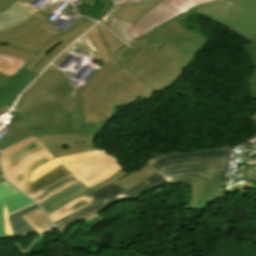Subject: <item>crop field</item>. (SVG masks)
Returning <instances> with one entry per match:
<instances>
[{"instance_id": "obj_14", "label": "crop field", "mask_w": 256, "mask_h": 256, "mask_svg": "<svg viewBox=\"0 0 256 256\" xmlns=\"http://www.w3.org/2000/svg\"><path fill=\"white\" fill-rule=\"evenodd\" d=\"M171 183L192 185V201L189 207L191 210L203 211L221 199L216 195L220 185L210 180L189 176L179 178Z\"/></svg>"}, {"instance_id": "obj_36", "label": "crop field", "mask_w": 256, "mask_h": 256, "mask_svg": "<svg viewBox=\"0 0 256 256\" xmlns=\"http://www.w3.org/2000/svg\"><path fill=\"white\" fill-rule=\"evenodd\" d=\"M98 5L113 6V2H112V0H99Z\"/></svg>"}, {"instance_id": "obj_9", "label": "crop field", "mask_w": 256, "mask_h": 256, "mask_svg": "<svg viewBox=\"0 0 256 256\" xmlns=\"http://www.w3.org/2000/svg\"><path fill=\"white\" fill-rule=\"evenodd\" d=\"M181 71L176 50L165 43L135 74L158 92L176 79Z\"/></svg>"}, {"instance_id": "obj_3", "label": "crop field", "mask_w": 256, "mask_h": 256, "mask_svg": "<svg viewBox=\"0 0 256 256\" xmlns=\"http://www.w3.org/2000/svg\"><path fill=\"white\" fill-rule=\"evenodd\" d=\"M80 89L60 82L48 90L57 100L35 106L23 113H9L10 122L2 130L0 150L28 136L45 134H84Z\"/></svg>"}, {"instance_id": "obj_42", "label": "crop field", "mask_w": 256, "mask_h": 256, "mask_svg": "<svg viewBox=\"0 0 256 256\" xmlns=\"http://www.w3.org/2000/svg\"><path fill=\"white\" fill-rule=\"evenodd\" d=\"M131 1H136V0H124L123 4L127 3V2H131Z\"/></svg>"}, {"instance_id": "obj_21", "label": "crop field", "mask_w": 256, "mask_h": 256, "mask_svg": "<svg viewBox=\"0 0 256 256\" xmlns=\"http://www.w3.org/2000/svg\"><path fill=\"white\" fill-rule=\"evenodd\" d=\"M39 208L37 204L32 205L30 207H27L19 212H16L12 215L9 216L10 218V223L12 227V231L15 235V237H20V236H27L29 233L34 232L35 230L30 227L20 215L27 213L29 211H32L34 209Z\"/></svg>"}, {"instance_id": "obj_39", "label": "crop field", "mask_w": 256, "mask_h": 256, "mask_svg": "<svg viewBox=\"0 0 256 256\" xmlns=\"http://www.w3.org/2000/svg\"><path fill=\"white\" fill-rule=\"evenodd\" d=\"M108 22H109V17L101 21V23L104 24L105 26H108Z\"/></svg>"}, {"instance_id": "obj_8", "label": "crop field", "mask_w": 256, "mask_h": 256, "mask_svg": "<svg viewBox=\"0 0 256 256\" xmlns=\"http://www.w3.org/2000/svg\"><path fill=\"white\" fill-rule=\"evenodd\" d=\"M117 162L118 160L103 150L90 151L55 159L35 169L29 180L34 182L45 173L61 164L71 171L75 177L81 180L87 176L102 171Z\"/></svg>"}, {"instance_id": "obj_38", "label": "crop field", "mask_w": 256, "mask_h": 256, "mask_svg": "<svg viewBox=\"0 0 256 256\" xmlns=\"http://www.w3.org/2000/svg\"><path fill=\"white\" fill-rule=\"evenodd\" d=\"M82 1L87 2V3H90V4H95V5H97V1H98V0H82Z\"/></svg>"}, {"instance_id": "obj_18", "label": "crop field", "mask_w": 256, "mask_h": 256, "mask_svg": "<svg viewBox=\"0 0 256 256\" xmlns=\"http://www.w3.org/2000/svg\"><path fill=\"white\" fill-rule=\"evenodd\" d=\"M35 12V10L22 5L19 1L11 4L0 13V31L20 23Z\"/></svg>"}, {"instance_id": "obj_13", "label": "crop field", "mask_w": 256, "mask_h": 256, "mask_svg": "<svg viewBox=\"0 0 256 256\" xmlns=\"http://www.w3.org/2000/svg\"><path fill=\"white\" fill-rule=\"evenodd\" d=\"M127 174L128 173L122 168L120 171H118L113 176H111V177H109V178L89 187V188L85 187L83 184H81L79 182L39 205L49 215L52 212H54L55 210H57L58 208L65 205L66 203H68L84 194L96 191V190L122 178L123 176H125Z\"/></svg>"}, {"instance_id": "obj_31", "label": "crop field", "mask_w": 256, "mask_h": 256, "mask_svg": "<svg viewBox=\"0 0 256 256\" xmlns=\"http://www.w3.org/2000/svg\"><path fill=\"white\" fill-rule=\"evenodd\" d=\"M106 207H108V206H107V205H104V206H102V207H100V208H98V209H96V210H94V211H92V212H90V213H88V214L82 216V217H79V218H77V219H75V220H73V221H71V222H69V223H67V224H65V225H63V226H61V227H59V229H60V230H64L67 226H69L71 223H73V222H75V221L88 220V219H90L91 217H93L94 215H96L97 213H99L100 211H102L103 209H105Z\"/></svg>"}, {"instance_id": "obj_15", "label": "crop field", "mask_w": 256, "mask_h": 256, "mask_svg": "<svg viewBox=\"0 0 256 256\" xmlns=\"http://www.w3.org/2000/svg\"><path fill=\"white\" fill-rule=\"evenodd\" d=\"M5 202H7L9 214L34 203L6 180L0 183V238H6L2 210V204Z\"/></svg>"}, {"instance_id": "obj_24", "label": "crop field", "mask_w": 256, "mask_h": 256, "mask_svg": "<svg viewBox=\"0 0 256 256\" xmlns=\"http://www.w3.org/2000/svg\"><path fill=\"white\" fill-rule=\"evenodd\" d=\"M91 204V202H89L86 198H84L83 196L66 204L65 206H63L62 208H60L59 210L55 211L54 213H52L50 216V218L54 221L76 211L79 210L87 205Z\"/></svg>"}, {"instance_id": "obj_32", "label": "crop field", "mask_w": 256, "mask_h": 256, "mask_svg": "<svg viewBox=\"0 0 256 256\" xmlns=\"http://www.w3.org/2000/svg\"><path fill=\"white\" fill-rule=\"evenodd\" d=\"M3 209H4V220H5V228H6L7 238H11V237H14V236H13L12 231H11L6 204L3 205Z\"/></svg>"}, {"instance_id": "obj_26", "label": "crop field", "mask_w": 256, "mask_h": 256, "mask_svg": "<svg viewBox=\"0 0 256 256\" xmlns=\"http://www.w3.org/2000/svg\"><path fill=\"white\" fill-rule=\"evenodd\" d=\"M249 41L251 43L244 47V49H246L254 64V70L249 80V92L251 94V97H253L254 100H256V37L250 39Z\"/></svg>"}, {"instance_id": "obj_16", "label": "crop field", "mask_w": 256, "mask_h": 256, "mask_svg": "<svg viewBox=\"0 0 256 256\" xmlns=\"http://www.w3.org/2000/svg\"><path fill=\"white\" fill-rule=\"evenodd\" d=\"M36 76L23 68L16 73L0 90V107L7 104L11 108L17 96Z\"/></svg>"}, {"instance_id": "obj_29", "label": "crop field", "mask_w": 256, "mask_h": 256, "mask_svg": "<svg viewBox=\"0 0 256 256\" xmlns=\"http://www.w3.org/2000/svg\"><path fill=\"white\" fill-rule=\"evenodd\" d=\"M112 8L113 7H108V6H94V5H91L87 9V11L83 14V16L98 20L99 18L103 17Z\"/></svg>"}, {"instance_id": "obj_6", "label": "crop field", "mask_w": 256, "mask_h": 256, "mask_svg": "<svg viewBox=\"0 0 256 256\" xmlns=\"http://www.w3.org/2000/svg\"><path fill=\"white\" fill-rule=\"evenodd\" d=\"M192 12L220 23L245 39L256 36V0H217Z\"/></svg>"}, {"instance_id": "obj_2", "label": "crop field", "mask_w": 256, "mask_h": 256, "mask_svg": "<svg viewBox=\"0 0 256 256\" xmlns=\"http://www.w3.org/2000/svg\"><path fill=\"white\" fill-rule=\"evenodd\" d=\"M230 147L204 149L181 153H167L149 160L160 172L148 178L130 191H125L116 182L88 195L93 204L74 212L56 222L57 227L84 215L104 204L110 205L122 200L137 199L148 190L164 185L183 176H199L221 184L226 173Z\"/></svg>"}, {"instance_id": "obj_44", "label": "crop field", "mask_w": 256, "mask_h": 256, "mask_svg": "<svg viewBox=\"0 0 256 256\" xmlns=\"http://www.w3.org/2000/svg\"><path fill=\"white\" fill-rule=\"evenodd\" d=\"M251 118L256 121V114H254ZM255 121H254V122H255ZM255 123H256V122H255Z\"/></svg>"}, {"instance_id": "obj_22", "label": "crop field", "mask_w": 256, "mask_h": 256, "mask_svg": "<svg viewBox=\"0 0 256 256\" xmlns=\"http://www.w3.org/2000/svg\"><path fill=\"white\" fill-rule=\"evenodd\" d=\"M85 36V35H84ZM86 37V36H85ZM79 50L94 57L99 58L102 60L100 53L93 45V43L86 37L82 41L78 40L73 46H71L68 50H66L57 60L53 63L59 66L63 61H65L73 52V50ZM103 61V60H102Z\"/></svg>"}, {"instance_id": "obj_20", "label": "crop field", "mask_w": 256, "mask_h": 256, "mask_svg": "<svg viewBox=\"0 0 256 256\" xmlns=\"http://www.w3.org/2000/svg\"><path fill=\"white\" fill-rule=\"evenodd\" d=\"M24 220L31 225L39 235L53 229L54 225L41 208L22 215Z\"/></svg>"}, {"instance_id": "obj_12", "label": "crop field", "mask_w": 256, "mask_h": 256, "mask_svg": "<svg viewBox=\"0 0 256 256\" xmlns=\"http://www.w3.org/2000/svg\"><path fill=\"white\" fill-rule=\"evenodd\" d=\"M176 0H162L129 29V35L134 40L153 28L189 11L175 5Z\"/></svg>"}, {"instance_id": "obj_1", "label": "crop field", "mask_w": 256, "mask_h": 256, "mask_svg": "<svg viewBox=\"0 0 256 256\" xmlns=\"http://www.w3.org/2000/svg\"><path fill=\"white\" fill-rule=\"evenodd\" d=\"M101 53L105 65L78 92L82 102L85 135H45L38 138L55 158L98 149L94 138L122 105L157 96L134 73L164 43L129 44L128 47L97 23L85 34Z\"/></svg>"}, {"instance_id": "obj_25", "label": "crop field", "mask_w": 256, "mask_h": 256, "mask_svg": "<svg viewBox=\"0 0 256 256\" xmlns=\"http://www.w3.org/2000/svg\"><path fill=\"white\" fill-rule=\"evenodd\" d=\"M27 62L12 58L6 55L0 54V71L9 75L13 76L16 72H18Z\"/></svg>"}, {"instance_id": "obj_34", "label": "crop field", "mask_w": 256, "mask_h": 256, "mask_svg": "<svg viewBox=\"0 0 256 256\" xmlns=\"http://www.w3.org/2000/svg\"><path fill=\"white\" fill-rule=\"evenodd\" d=\"M15 1L17 0H0V11H2L4 8H6L8 5Z\"/></svg>"}, {"instance_id": "obj_19", "label": "crop field", "mask_w": 256, "mask_h": 256, "mask_svg": "<svg viewBox=\"0 0 256 256\" xmlns=\"http://www.w3.org/2000/svg\"><path fill=\"white\" fill-rule=\"evenodd\" d=\"M156 172H158V170L148 163L140 170L130 173L122 179L118 180L117 183L128 191Z\"/></svg>"}, {"instance_id": "obj_45", "label": "crop field", "mask_w": 256, "mask_h": 256, "mask_svg": "<svg viewBox=\"0 0 256 256\" xmlns=\"http://www.w3.org/2000/svg\"><path fill=\"white\" fill-rule=\"evenodd\" d=\"M0 173H1V171H0Z\"/></svg>"}, {"instance_id": "obj_28", "label": "crop field", "mask_w": 256, "mask_h": 256, "mask_svg": "<svg viewBox=\"0 0 256 256\" xmlns=\"http://www.w3.org/2000/svg\"><path fill=\"white\" fill-rule=\"evenodd\" d=\"M122 167L117 163L116 165L102 171L99 172L95 175H92L88 178H85L83 180H81L80 182H82L84 185H86L87 187L113 175L115 172H117L119 169H121Z\"/></svg>"}, {"instance_id": "obj_37", "label": "crop field", "mask_w": 256, "mask_h": 256, "mask_svg": "<svg viewBox=\"0 0 256 256\" xmlns=\"http://www.w3.org/2000/svg\"><path fill=\"white\" fill-rule=\"evenodd\" d=\"M8 109H10L7 105L0 108V115L3 114L5 111H7Z\"/></svg>"}, {"instance_id": "obj_43", "label": "crop field", "mask_w": 256, "mask_h": 256, "mask_svg": "<svg viewBox=\"0 0 256 256\" xmlns=\"http://www.w3.org/2000/svg\"><path fill=\"white\" fill-rule=\"evenodd\" d=\"M5 178H4V176H3V174L1 173L0 174V181H2V180H4Z\"/></svg>"}, {"instance_id": "obj_4", "label": "crop field", "mask_w": 256, "mask_h": 256, "mask_svg": "<svg viewBox=\"0 0 256 256\" xmlns=\"http://www.w3.org/2000/svg\"><path fill=\"white\" fill-rule=\"evenodd\" d=\"M1 151L0 166L6 179L29 196L72 174L61 165L34 183L28 180L35 168L54 159L35 136Z\"/></svg>"}, {"instance_id": "obj_11", "label": "crop field", "mask_w": 256, "mask_h": 256, "mask_svg": "<svg viewBox=\"0 0 256 256\" xmlns=\"http://www.w3.org/2000/svg\"><path fill=\"white\" fill-rule=\"evenodd\" d=\"M65 78L64 74L50 65L22 94L14 108L21 113L32 106L55 99L47 90Z\"/></svg>"}, {"instance_id": "obj_17", "label": "crop field", "mask_w": 256, "mask_h": 256, "mask_svg": "<svg viewBox=\"0 0 256 256\" xmlns=\"http://www.w3.org/2000/svg\"><path fill=\"white\" fill-rule=\"evenodd\" d=\"M160 1L161 0H149L142 3L124 6L115 9L109 14V16L135 23Z\"/></svg>"}, {"instance_id": "obj_5", "label": "crop field", "mask_w": 256, "mask_h": 256, "mask_svg": "<svg viewBox=\"0 0 256 256\" xmlns=\"http://www.w3.org/2000/svg\"><path fill=\"white\" fill-rule=\"evenodd\" d=\"M53 4L49 9L44 7L23 22L0 32V53L29 61L40 49L54 36L85 22L82 17H77L65 30H56L50 27L53 22L44 20L60 3ZM64 16H75L60 11Z\"/></svg>"}, {"instance_id": "obj_35", "label": "crop field", "mask_w": 256, "mask_h": 256, "mask_svg": "<svg viewBox=\"0 0 256 256\" xmlns=\"http://www.w3.org/2000/svg\"><path fill=\"white\" fill-rule=\"evenodd\" d=\"M10 77L0 73V89L6 84Z\"/></svg>"}, {"instance_id": "obj_33", "label": "crop field", "mask_w": 256, "mask_h": 256, "mask_svg": "<svg viewBox=\"0 0 256 256\" xmlns=\"http://www.w3.org/2000/svg\"><path fill=\"white\" fill-rule=\"evenodd\" d=\"M82 3H83V4H81V5H79V6H78V4L75 5V8H76L78 14H81V15H82V14L86 11V9L90 6V4H87V3H84V2H82Z\"/></svg>"}, {"instance_id": "obj_10", "label": "crop field", "mask_w": 256, "mask_h": 256, "mask_svg": "<svg viewBox=\"0 0 256 256\" xmlns=\"http://www.w3.org/2000/svg\"><path fill=\"white\" fill-rule=\"evenodd\" d=\"M95 24L89 20L53 38L24 68L39 74L60 52Z\"/></svg>"}, {"instance_id": "obj_27", "label": "crop field", "mask_w": 256, "mask_h": 256, "mask_svg": "<svg viewBox=\"0 0 256 256\" xmlns=\"http://www.w3.org/2000/svg\"><path fill=\"white\" fill-rule=\"evenodd\" d=\"M131 25L132 23H128L110 17L108 29L125 42H131L133 40L128 35V29L130 28Z\"/></svg>"}, {"instance_id": "obj_30", "label": "crop field", "mask_w": 256, "mask_h": 256, "mask_svg": "<svg viewBox=\"0 0 256 256\" xmlns=\"http://www.w3.org/2000/svg\"><path fill=\"white\" fill-rule=\"evenodd\" d=\"M212 0H177V5L189 10L198 4H203Z\"/></svg>"}, {"instance_id": "obj_41", "label": "crop field", "mask_w": 256, "mask_h": 256, "mask_svg": "<svg viewBox=\"0 0 256 256\" xmlns=\"http://www.w3.org/2000/svg\"><path fill=\"white\" fill-rule=\"evenodd\" d=\"M122 0H114L116 6L121 5Z\"/></svg>"}, {"instance_id": "obj_23", "label": "crop field", "mask_w": 256, "mask_h": 256, "mask_svg": "<svg viewBox=\"0 0 256 256\" xmlns=\"http://www.w3.org/2000/svg\"><path fill=\"white\" fill-rule=\"evenodd\" d=\"M77 182L79 180L72 175L31 197L39 204Z\"/></svg>"}, {"instance_id": "obj_7", "label": "crop field", "mask_w": 256, "mask_h": 256, "mask_svg": "<svg viewBox=\"0 0 256 256\" xmlns=\"http://www.w3.org/2000/svg\"><path fill=\"white\" fill-rule=\"evenodd\" d=\"M194 15L193 13L185 14L181 17H178L169 24L163 27H158L153 31H150L143 36L137 38L134 43H154V42H166L178 52V55L181 59L182 64V74L187 70L192 63V58L199 53L206 44L210 41L204 38H201L200 33L197 31L188 32L185 30L182 24H178L181 19L185 20L187 16Z\"/></svg>"}, {"instance_id": "obj_40", "label": "crop field", "mask_w": 256, "mask_h": 256, "mask_svg": "<svg viewBox=\"0 0 256 256\" xmlns=\"http://www.w3.org/2000/svg\"><path fill=\"white\" fill-rule=\"evenodd\" d=\"M21 2L27 3L29 5H31L33 3L34 0H19Z\"/></svg>"}]
</instances>
